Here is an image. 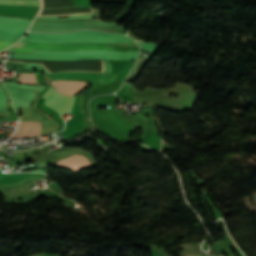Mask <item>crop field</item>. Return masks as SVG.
I'll use <instances>...</instances> for the list:
<instances>
[{
	"label": "crop field",
	"instance_id": "8a807250",
	"mask_svg": "<svg viewBox=\"0 0 256 256\" xmlns=\"http://www.w3.org/2000/svg\"><path fill=\"white\" fill-rule=\"evenodd\" d=\"M24 43L18 42L13 45L15 47H20ZM10 47L6 50L17 51V52H27L32 53L35 49L40 50H74V49H105L111 50L112 47L108 44H46V43H26L20 48Z\"/></svg>",
	"mask_w": 256,
	"mask_h": 256
},
{
	"label": "crop field",
	"instance_id": "ac0d7876",
	"mask_svg": "<svg viewBox=\"0 0 256 256\" xmlns=\"http://www.w3.org/2000/svg\"><path fill=\"white\" fill-rule=\"evenodd\" d=\"M42 98L47 99L45 105L55 109L60 115L69 112L74 102V97L60 94L51 86Z\"/></svg>",
	"mask_w": 256,
	"mask_h": 256
},
{
	"label": "crop field",
	"instance_id": "34b2d1b8",
	"mask_svg": "<svg viewBox=\"0 0 256 256\" xmlns=\"http://www.w3.org/2000/svg\"><path fill=\"white\" fill-rule=\"evenodd\" d=\"M42 124L37 120H20V125L13 137L39 136Z\"/></svg>",
	"mask_w": 256,
	"mask_h": 256
},
{
	"label": "crop field",
	"instance_id": "412701ff",
	"mask_svg": "<svg viewBox=\"0 0 256 256\" xmlns=\"http://www.w3.org/2000/svg\"><path fill=\"white\" fill-rule=\"evenodd\" d=\"M56 81L52 85L55 87V89L63 94H68V95H74L75 93L79 92L82 90L87 82L84 81H59V80H54Z\"/></svg>",
	"mask_w": 256,
	"mask_h": 256
},
{
	"label": "crop field",
	"instance_id": "f4fd0767",
	"mask_svg": "<svg viewBox=\"0 0 256 256\" xmlns=\"http://www.w3.org/2000/svg\"><path fill=\"white\" fill-rule=\"evenodd\" d=\"M51 78H61V79H90V80H97V81H106V73H56L47 75Z\"/></svg>",
	"mask_w": 256,
	"mask_h": 256
},
{
	"label": "crop field",
	"instance_id": "dd49c442",
	"mask_svg": "<svg viewBox=\"0 0 256 256\" xmlns=\"http://www.w3.org/2000/svg\"><path fill=\"white\" fill-rule=\"evenodd\" d=\"M54 165L66 166L74 169L75 171L91 166V164L87 161V159L81 155H73V156L67 157L57 162Z\"/></svg>",
	"mask_w": 256,
	"mask_h": 256
},
{
	"label": "crop field",
	"instance_id": "e52e79f7",
	"mask_svg": "<svg viewBox=\"0 0 256 256\" xmlns=\"http://www.w3.org/2000/svg\"><path fill=\"white\" fill-rule=\"evenodd\" d=\"M0 4L39 6V0H0Z\"/></svg>",
	"mask_w": 256,
	"mask_h": 256
},
{
	"label": "crop field",
	"instance_id": "d8731c3e",
	"mask_svg": "<svg viewBox=\"0 0 256 256\" xmlns=\"http://www.w3.org/2000/svg\"><path fill=\"white\" fill-rule=\"evenodd\" d=\"M132 131H134L137 127L134 124L132 118H127L126 116H124L121 112H119L118 110L112 108L111 109Z\"/></svg>",
	"mask_w": 256,
	"mask_h": 256
},
{
	"label": "crop field",
	"instance_id": "5a996713",
	"mask_svg": "<svg viewBox=\"0 0 256 256\" xmlns=\"http://www.w3.org/2000/svg\"><path fill=\"white\" fill-rule=\"evenodd\" d=\"M23 74H28V73H23ZM23 74H20V78L18 79L19 82L37 83L35 73H29V75H23Z\"/></svg>",
	"mask_w": 256,
	"mask_h": 256
},
{
	"label": "crop field",
	"instance_id": "3316defc",
	"mask_svg": "<svg viewBox=\"0 0 256 256\" xmlns=\"http://www.w3.org/2000/svg\"><path fill=\"white\" fill-rule=\"evenodd\" d=\"M14 42H9V41H0V50L10 46L11 44H13Z\"/></svg>",
	"mask_w": 256,
	"mask_h": 256
}]
</instances>
